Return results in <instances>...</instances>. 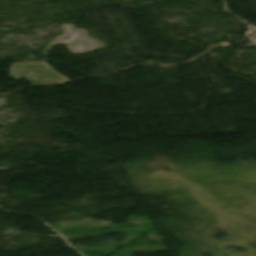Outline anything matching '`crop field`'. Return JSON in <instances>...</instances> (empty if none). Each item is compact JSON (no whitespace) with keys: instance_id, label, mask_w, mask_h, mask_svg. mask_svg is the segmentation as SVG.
Returning a JSON list of instances; mask_svg holds the SVG:
<instances>
[{"instance_id":"obj_2","label":"crop field","mask_w":256,"mask_h":256,"mask_svg":"<svg viewBox=\"0 0 256 256\" xmlns=\"http://www.w3.org/2000/svg\"><path fill=\"white\" fill-rule=\"evenodd\" d=\"M26 63H39V64H43L42 62H26ZM21 64H22V63H21ZM16 66H17V64L12 65V68H11V70H10V75L12 76V79H14V80H18V79L20 78L19 76L12 75L14 69L16 68ZM26 66H40V65H26ZM44 66H45V65H44ZM19 67H23V66H20V64H19L17 71H15V74H18V71L21 70V68H19ZM30 68H38V67H30ZM46 68H48L49 70H27V71H40V72H43V71H50V68H49L48 66H46ZM39 69H42V68H39ZM24 72H25V71H21V73L18 74V75H21V74H23ZM27 74H28V76H29V74H31V73L28 72ZM35 74H52V75H46V76H38V77H40V78L60 76V75H54L53 72H49V73H35ZM28 76L22 75L21 77H24V78H26V79L30 78V79H33V80H39V79L31 78V77H28ZM31 76H33V75H31ZM59 78H62V77H59ZM55 79H57V78H55ZM43 80H50V79H43ZM30 81H31L32 83H51V82H61V81H65V80H64V79H60V80L48 81V82H34V81H32V80H30Z\"/></svg>"},{"instance_id":"obj_1","label":"crop field","mask_w":256,"mask_h":256,"mask_svg":"<svg viewBox=\"0 0 256 256\" xmlns=\"http://www.w3.org/2000/svg\"><path fill=\"white\" fill-rule=\"evenodd\" d=\"M62 26L66 29L65 33L50 42L48 46L45 47L44 52L50 50L51 46L55 44L67 45L72 54L92 51L107 45L106 43L94 39L92 41L91 38L85 35L88 32L84 31V29H78L75 28L76 26L74 25L67 24H63ZM74 44H76L77 47H73L72 45Z\"/></svg>"}]
</instances>
